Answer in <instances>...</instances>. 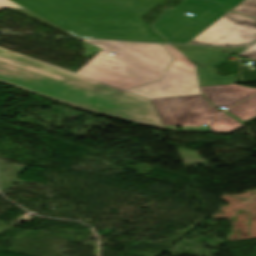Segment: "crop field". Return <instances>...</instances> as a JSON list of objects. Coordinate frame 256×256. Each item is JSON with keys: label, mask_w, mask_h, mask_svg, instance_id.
Wrapping results in <instances>:
<instances>
[{"label": "crop field", "mask_w": 256, "mask_h": 256, "mask_svg": "<svg viewBox=\"0 0 256 256\" xmlns=\"http://www.w3.org/2000/svg\"><path fill=\"white\" fill-rule=\"evenodd\" d=\"M0 81L78 109L165 130L149 99L2 48Z\"/></svg>", "instance_id": "obj_1"}, {"label": "crop field", "mask_w": 256, "mask_h": 256, "mask_svg": "<svg viewBox=\"0 0 256 256\" xmlns=\"http://www.w3.org/2000/svg\"><path fill=\"white\" fill-rule=\"evenodd\" d=\"M85 37L166 41L139 18L162 0H12Z\"/></svg>", "instance_id": "obj_2"}, {"label": "crop field", "mask_w": 256, "mask_h": 256, "mask_svg": "<svg viewBox=\"0 0 256 256\" xmlns=\"http://www.w3.org/2000/svg\"><path fill=\"white\" fill-rule=\"evenodd\" d=\"M172 60L163 45L126 42L117 58L99 52L76 74L126 90L161 80Z\"/></svg>", "instance_id": "obj_3"}, {"label": "crop field", "mask_w": 256, "mask_h": 256, "mask_svg": "<svg viewBox=\"0 0 256 256\" xmlns=\"http://www.w3.org/2000/svg\"><path fill=\"white\" fill-rule=\"evenodd\" d=\"M186 12L213 24L228 11L213 2L185 0L173 10L165 12L151 26L168 42L186 44L190 38L209 26L207 23L183 15Z\"/></svg>", "instance_id": "obj_4"}, {"label": "crop field", "mask_w": 256, "mask_h": 256, "mask_svg": "<svg viewBox=\"0 0 256 256\" xmlns=\"http://www.w3.org/2000/svg\"><path fill=\"white\" fill-rule=\"evenodd\" d=\"M166 130L207 132L199 128L217 116L221 111L213 108L203 95L151 100Z\"/></svg>", "instance_id": "obj_5"}, {"label": "crop field", "mask_w": 256, "mask_h": 256, "mask_svg": "<svg viewBox=\"0 0 256 256\" xmlns=\"http://www.w3.org/2000/svg\"><path fill=\"white\" fill-rule=\"evenodd\" d=\"M255 40L256 20L228 12L189 44L236 47Z\"/></svg>", "instance_id": "obj_6"}, {"label": "crop field", "mask_w": 256, "mask_h": 256, "mask_svg": "<svg viewBox=\"0 0 256 256\" xmlns=\"http://www.w3.org/2000/svg\"><path fill=\"white\" fill-rule=\"evenodd\" d=\"M126 91L149 99L201 94L195 69L175 60L161 81Z\"/></svg>", "instance_id": "obj_7"}, {"label": "crop field", "mask_w": 256, "mask_h": 256, "mask_svg": "<svg viewBox=\"0 0 256 256\" xmlns=\"http://www.w3.org/2000/svg\"><path fill=\"white\" fill-rule=\"evenodd\" d=\"M180 52L193 61L197 66L201 86L218 84H235V76L218 77L213 68L226 57L243 49H215L174 45Z\"/></svg>", "instance_id": "obj_8"}, {"label": "crop field", "mask_w": 256, "mask_h": 256, "mask_svg": "<svg viewBox=\"0 0 256 256\" xmlns=\"http://www.w3.org/2000/svg\"><path fill=\"white\" fill-rule=\"evenodd\" d=\"M201 89L212 105H222L226 108L256 93V89L237 85L206 86Z\"/></svg>", "instance_id": "obj_9"}, {"label": "crop field", "mask_w": 256, "mask_h": 256, "mask_svg": "<svg viewBox=\"0 0 256 256\" xmlns=\"http://www.w3.org/2000/svg\"><path fill=\"white\" fill-rule=\"evenodd\" d=\"M226 112L244 124L256 120V95Z\"/></svg>", "instance_id": "obj_10"}, {"label": "crop field", "mask_w": 256, "mask_h": 256, "mask_svg": "<svg viewBox=\"0 0 256 256\" xmlns=\"http://www.w3.org/2000/svg\"><path fill=\"white\" fill-rule=\"evenodd\" d=\"M210 125L211 133H230L244 126L224 113L215 118Z\"/></svg>", "instance_id": "obj_11"}, {"label": "crop field", "mask_w": 256, "mask_h": 256, "mask_svg": "<svg viewBox=\"0 0 256 256\" xmlns=\"http://www.w3.org/2000/svg\"><path fill=\"white\" fill-rule=\"evenodd\" d=\"M83 40V39H82ZM93 44H96L106 50L101 51L105 54H110V52L115 53V54H119L124 42H118V41H104V40H89V39H85ZM84 40V41H85ZM116 55V57H117Z\"/></svg>", "instance_id": "obj_12"}, {"label": "crop field", "mask_w": 256, "mask_h": 256, "mask_svg": "<svg viewBox=\"0 0 256 256\" xmlns=\"http://www.w3.org/2000/svg\"><path fill=\"white\" fill-rule=\"evenodd\" d=\"M231 11L256 18V0H244Z\"/></svg>", "instance_id": "obj_13"}, {"label": "crop field", "mask_w": 256, "mask_h": 256, "mask_svg": "<svg viewBox=\"0 0 256 256\" xmlns=\"http://www.w3.org/2000/svg\"><path fill=\"white\" fill-rule=\"evenodd\" d=\"M166 50L174 57L175 60L180 61L182 63H185L189 66H192L195 68V65L192 64L190 61H188L185 57H183L179 52H177L174 48L171 46L164 45Z\"/></svg>", "instance_id": "obj_14"}, {"label": "crop field", "mask_w": 256, "mask_h": 256, "mask_svg": "<svg viewBox=\"0 0 256 256\" xmlns=\"http://www.w3.org/2000/svg\"><path fill=\"white\" fill-rule=\"evenodd\" d=\"M211 1L219 2L222 5H224L228 10H230L243 0H211Z\"/></svg>", "instance_id": "obj_15"}, {"label": "crop field", "mask_w": 256, "mask_h": 256, "mask_svg": "<svg viewBox=\"0 0 256 256\" xmlns=\"http://www.w3.org/2000/svg\"><path fill=\"white\" fill-rule=\"evenodd\" d=\"M240 56L246 57L252 60H256V44L253 45L251 48H249L247 51H245Z\"/></svg>", "instance_id": "obj_16"}, {"label": "crop field", "mask_w": 256, "mask_h": 256, "mask_svg": "<svg viewBox=\"0 0 256 256\" xmlns=\"http://www.w3.org/2000/svg\"><path fill=\"white\" fill-rule=\"evenodd\" d=\"M0 8H21L22 7L18 6L17 4L9 1V0H0Z\"/></svg>", "instance_id": "obj_17"}]
</instances>
